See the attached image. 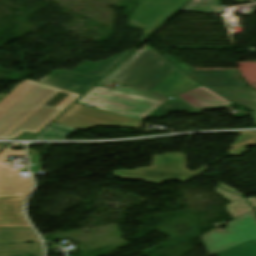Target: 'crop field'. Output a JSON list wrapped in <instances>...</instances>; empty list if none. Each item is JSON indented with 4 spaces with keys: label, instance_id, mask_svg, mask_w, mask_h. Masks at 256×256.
Returning a JSON list of instances; mask_svg holds the SVG:
<instances>
[{
    "label": "crop field",
    "instance_id": "f4fd0767",
    "mask_svg": "<svg viewBox=\"0 0 256 256\" xmlns=\"http://www.w3.org/2000/svg\"><path fill=\"white\" fill-rule=\"evenodd\" d=\"M185 155L180 153H168L163 156H155L153 168H141L135 171H115V177L125 180H145L153 184H160L166 180L184 182L204 171L207 166L190 172L184 169Z\"/></svg>",
    "mask_w": 256,
    "mask_h": 256
},
{
    "label": "crop field",
    "instance_id": "5142ce71",
    "mask_svg": "<svg viewBox=\"0 0 256 256\" xmlns=\"http://www.w3.org/2000/svg\"><path fill=\"white\" fill-rule=\"evenodd\" d=\"M181 10L221 14V0H191Z\"/></svg>",
    "mask_w": 256,
    "mask_h": 256
},
{
    "label": "crop field",
    "instance_id": "34b2d1b8",
    "mask_svg": "<svg viewBox=\"0 0 256 256\" xmlns=\"http://www.w3.org/2000/svg\"><path fill=\"white\" fill-rule=\"evenodd\" d=\"M76 103L89 104L97 109L143 121L148 117L161 118L167 112L200 111L182 101L119 86L113 90L95 85Z\"/></svg>",
    "mask_w": 256,
    "mask_h": 256
},
{
    "label": "crop field",
    "instance_id": "eef30255",
    "mask_svg": "<svg viewBox=\"0 0 256 256\" xmlns=\"http://www.w3.org/2000/svg\"><path fill=\"white\" fill-rule=\"evenodd\" d=\"M253 118H254V120H255V122H256V114H253Z\"/></svg>",
    "mask_w": 256,
    "mask_h": 256
},
{
    "label": "crop field",
    "instance_id": "d9b57169",
    "mask_svg": "<svg viewBox=\"0 0 256 256\" xmlns=\"http://www.w3.org/2000/svg\"><path fill=\"white\" fill-rule=\"evenodd\" d=\"M45 130L64 135L66 137L77 131L76 129H72L54 122H52L49 126H47Z\"/></svg>",
    "mask_w": 256,
    "mask_h": 256
},
{
    "label": "crop field",
    "instance_id": "92a150f3",
    "mask_svg": "<svg viewBox=\"0 0 256 256\" xmlns=\"http://www.w3.org/2000/svg\"><path fill=\"white\" fill-rule=\"evenodd\" d=\"M252 145H256V140L253 141V142H251V143H249V144H246V145H244V146L238 147V148L233 149V150L228 151V152L231 153V154H234V155L238 156V155H240L241 153L245 152V151L247 150V149H246L247 147L252 146Z\"/></svg>",
    "mask_w": 256,
    "mask_h": 256
},
{
    "label": "crop field",
    "instance_id": "ac0d7876",
    "mask_svg": "<svg viewBox=\"0 0 256 256\" xmlns=\"http://www.w3.org/2000/svg\"><path fill=\"white\" fill-rule=\"evenodd\" d=\"M114 80L136 89L166 96H174L201 86L149 46L141 52H133L97 85L106 87Z\"/></svg>",
    "mask_w": 256,
    "mask_h": 256
},
{
    "label": "crop field",
    "instance_id": "cbeb9de0",
    "mask_svg": "<svg viewBox=\"0 0 256 256\" xmlns=\"http://www.w3.org/2000/svg\"><path fill=\"white\" fill-rule=\"evenodd\" d=\"M43 254L41 243L0 246V256H30Z\"/></svg>",
    "mask_w": 256,
    "mask_h": 256
},
{
    "label": "crop field",
    "instance_id": "22f410ed",
    "mask_svg": "<svg viewBox=\"0 0 256 256\" xmlns=\"http://www.w3.org/2000/svg\"><path fill=\"white\" fill-rule=\"evenodd\" d=\"M40 242L31 228H0V245Z\"/></svg>",
    "mask_w": 256,
    "mask_h": 256
},
{
    "label": "crop field",
    "instance_id": "730fd06b",
    "mask_svg": "<svg viewBox=\"0 0 256 256\" xmlns=\"http://www.w3.org/2000/svg\"><path fill=\"white\" fill-rule=\"evenodd\" d=\"M6 94H0V100L5 96Z\"/></svg>",
    "mask_w": 256,
    "mask_h": 256
},
{
    "label": "crop field",
    "instance_id": "bd1437ed",
    "mask_svg": "<svg viewBox=\"0 0 256 256\" xmlns=\"http://www.w3.org/2000/svg\"><path fill=\"white\" fill-rule=\"evenodd\" d=\"M42 256V255H41Z\"/></svg>",
    "mask_w": 256,
    "mask_h": 256
},
{
    "label": "crop field",
    "instance_id": "4a817a6b",
    "mask_svg": "<svg viewBox=\"0 0 256 256\" xmlns=\"http://www.w3.org/2000/svg\"><path fill=\"white\" fill-rule=\"evenodd\" d=\"M28 153H31L29 155V157H30V164H35V166H30V171H31L32 174H36V173L39 172V164H38L39 158H38V154H36L35 151L32 150V149H29Z\"/></svg>",
    "mask_w": 256,
    "mask_h": 256
},
{
    "label": "crop field",
    "instance_id": "e52e79f7",
    "mask_svg": "<svg viewBox=\"0 0 256 256\" xmlns=\"http://www.w3.org/2000/svg\"><path fill=\"white\" fill-rule=\"evenodd\" d=\"M189 0H137L139 3L128 19L129 23L142 28L144 40Z\"/></svg>",
    "mask_w": 256,
    "mask_h": 256
},
{
    "label": "crop field",
    "instance_id": "bc2a9ffb",
    "mask_svg": "<svg viewBox=\"0 0 256 256\" xmlns=\"http://www.w3.org/2000/svg\"><path fill=\"white\" fill-rule=\"evenodd\" d=\"M33 139H65V137L43 130L39 135Z\"/></svg>",
    "mask_w": 256,
    "mask_h": 256
},
{
    "label": "crop field",
    "instance_id": "d3111659",
    "mask_svg": "<svg viewBox=\"0 0 256 256\" xmlns=\"http://www.w3.org/2000/svg\"><path fill=\"white\" fill-rule=\"evenodd\" d=\"M3 147H4V146H1V145H0V149H2Z\"/></svg>",
    "mask_w": 256,
    "mask_h": 256
},
{
    "label": "crop field",
    "instance_id": "412701ff",
    "mask_svg": "<svg viewBox=\"0 0 256 256\" xmlns=\"http://www.w3.org/2000/svg\"><path fill=\"white\" fill-rule=\"evenodd\" d=\"M232 217L227 231L214 229L203 235L209 255L256 256V215L244 198L225 206Z\"/></svg>",
    "mask_w": 256,
    "mask_h": 256
},
{
    "label": "crop field",
    "instance_id": "3316defc",
    "mask_svg": "<svg viewBox=\"0 0 256 256\" xmlns=\"http://www.w3.org/2000/svg\"><path fill=\"white\" fill-rule=\"evenodd\" d=\"M26 198L0 199V227H30L22 213Z\"/></svg>",
    "mask_w": 256,
    "mask_h": 256
},
{
    "label": "crop field",
    "instance_id": "733c2abd",
    "mask_svg": "<svg viewBox=\"0 0 256 256\" xmlns=\"http://www.w3.org/2000/svg\"><path fill=\"white\" fill-rule=\"evenodd\" d=\"M256 138V133H242L236 141L231 144L229 147L234 148L242 143L248 142Z\"/></svg>",
    "mask_w": 256,
    "mask_h": 256
},
{
    "label": "crop field",
    "instance_id": "dd49c442",
    "mask_svg": "<svg viewBox=\"0 0 256 256\" xmlns=\"http://www.w3.org/2000/svg\"><path fill=\"white\" fill-rule=\"evenodd\" d=\"M54 122L77 128L89 129L95 125L124 126L140 129L143 122L111 114L106 111L74 103L63 112Z\"/></svg>",
    "mask_w": 256,
    "mask_h": 256
},
{
    "label": "crop field",
    "instance_id": "214f88e0",
    "mask_svg": "<svg viewBox=\"0 0 256 256\" xmlns=\"http://www.w3.org/2000/svg\"><path fill=\"white\" fill-rule=\"evenodd\" d=\"M216 193L220 194L223 196L224 199H227L229 200L230 202L238 199V198H241L240 196L234 194V193H231L229 191H226V190H223L219 187L216 188Z\"/></svg>",
    "mask_w": 256,
    "mask_h": 256
},
{
    "label": "crop field",
    "instance_id": "d8731c3e",
    "mask_svg": "<svg viewBox=\"0 0 256 256\" xmlns=\"http://www.w3.org/2000/svg\"><path fill=\"white\" fill-rule=\"evenodd\" d=\"M16 155L25 154L24 151H11L6 148L0 153V198L29 196L32 190L33 182L31 178H23L20 174V172H27L26 167L20 170H12L11 165H2V163L9 161L7 156Z\"/></svg>",
    "mask_w": 256,
    "mask_h": 256
},
{
    "label": "crop field",
    "instance_id": "4177f3b9",
    "mask_svg": "<svg viewBox=\"0 0 256 256\" xmlns=\"http://www.w3.org/2000/svg\"><path fill=\"white\" fill-rule=\"evenodd\" d=\"M221 187H222V188H225V189H227V190H230V191H232V192L236 191V190H234V189H232V188H230V187L224 186V185H222V184H221Z\"/></svg>",
    "mask_w": 256,
    "mask_h": 256
},
{
    "label": "crop field",
    "instance_id": "750c4746",
    "mask_svg": "<svg viewBox=\"0 0 256 256\" xmlns=\"http://www.w3.org/2000/svg\"><path fill=\"white\" fill-rule=\"evenodd\" d=\"M254 1H256V0H254Z\"/></svg>",
    "mask_w": 256,
    "mask_h": 256
},
{
    "label": "crop field",
    "instance_id": "00972430",
    "mask_svg": "<svg viewBox=\"0 0 256 256\" xmlns=\"http://www.w3.org/2000/svg\"><path fill=\"white\" fill-rule=\"evenodd\" d=\"M250 202V204L252 205V207L255 209L256 208V198L252 197L250 199H246Z\"/></svg>",
    "mask_w": 256,
    "mask_h": 256
},
{
    "label": "crop field",
    "instance_id": "dafd665d",
    "mask_svg": "<svg viewBox=\"0 0 256 256\" xmlns=\"http://www.w3.org/2000/svg\"><path fill=\"white\" fill-rule=\"evenodd\" d=\"M160 48H222V49H232V47H160Z\"/></svg>",
    "mask_w": 256,
    "mask_h": 256
},
{
    "label": "crop field",
    "instance_id": "8a807250",
    "mask_svg": "<svg viewBox=\"0 0 256 256\" xmlns=\"http://www.w3.org/2000/svg\"><path fill=\"white\" fill-rule=\"evenodd\" d=\"M128 52L97 63L84 61L72 71H54L40 83H19L0 101V139L25 131L37 134Z\"/></svg>",
    "mask_w": 256,
    "mask_h": 256
},
{
    "label": "crop field",
    "instance_id": "ae1a2a85",
    "mask_svg": "<svg viewBox=\"0 0 256 256\" xmlns=\"http://www.w3.org/2000/svg\"><path fill=\"white\" fill-rule=\"evenodd\" d=\"M13 145H16V144H12V145H10L9 147H7V148H10L11 146H13Z\"/></svg>",
    "mask_w": 256,
    "mask_h": 256
},
{
    "label": "crop field",
    "instance_id": "d1516ede",
    "mask_svg": "<svg viewBox=\"0 0 256 256\" xmlns=\"http://www.w3.org/2000/svg\"><path fill=\"white\" fill-rule=\"evenodd\" d=\"M233 102L256 111V92L248 87H209Z\"/></svg>",
    "mask_w": 256,
    "mask_h": 256
},
{
    "label": "crop field",
    "instance_id": "a9b5d70f",
    "mask_svg": "<svg viewBox=\"0 0 256 256\" xmlns=\"http://www.w3.org/2000/svg\"><path fill=\"white\" fill-rule=\"evenodd\" d=\"M32 137H34V135L25 133L24 135H22V136H21L20 138H18V139H31Z\"/></svg>",
    "mask_w": 256,
    "mask_h": 256
},
{
    "label": "crop field",
    "instance_id": "5a996713",
    "mask_svg": "<svg viewBox=\"0 0 256 256\" xmlns=\"http://www.w3.org/2000/svg\"><path fill=\"white\" fill-rule=\"evenodd\" d=\"M205 86H246L237 71H195L186 63H174Z\"/></svg>",
    "mask_w": 256,
    "mask_h": 256
},
{
    "label": "crop field",
    "instance_id": "28ad6ade",
    "mask_svg": "<svg viewBox=\"0 0 256 256\" xmlns=\"http://www.w3.org/2000/svg\"><path fill=\"white\" fill-rule=\"evenodd\" d=\"M176 97H179L180 99L184 100L185 102L191 104L192 106L198 109L231 104V102L220 97L219 95L212 92L205 86H201V87L186 91L182 94L177 95Z\"/></svg>",
    "mask_w": 256,
    "mask_h": 256
}]
</instances>
